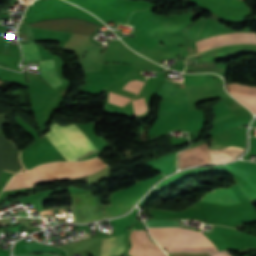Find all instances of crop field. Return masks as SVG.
<instances>
[{"label":"crop field","instance_id":"crop-field-4","mask_svg":"<svg viewBox=\"0 0 256 256\" xmlns=\"http://www.w3.org/2000/svg\"><path fill=\"white\" fill-rule=\"evenodd\" d=\"M210 163L208 157V144L190 148L179 155L180 168H185L193 165Z\"/></svg>","mask_w":256,"mask_h":256},{"label":"crop field","instance_id":"crop-field-17","mask_svg":"<svg viewBox=\"0 0 256 256\" xmlns=\"http://www.w3.org/2000/svg\"><path fill=\"white\" fill-rule=\"evenodd\" d=\"M169 256H210L208 254H190V253H173V254H168Z\"/></svg>","mask_w":256,"mask_h":256},{"label":"crop field","instance_id":"crop-field-15","mask_svg":"<svg viewBox=\"0 0 256 256\" xmlns=\"http://www.w3.org/2000/svg\"><path fill=\"white\" fill-rule=\"evenodd\" d=\"M161 86H174V83L173 81L163 82ZM164 93H175L174 87H161L156 95H164Z\"/></svg>","mask_w":256,"mask_h":256},{"label":"crop field","instance_id":"crop-field-5","mask_svg":"<svg viewBox=\"0 0 256 256\" xmlns=\"http://www.w3.org/2000/svg\"><path fill=\"white\" fill-rule=\"evenodd\" d=\"M227 169L248 181L256 189V164L253 162L237 161L228 166H216L214 170Z\"/></svg>","mask_w":256,"mask_h":256},{"label":"crop field","instance_id":"crop-field-9","mask_svg":"<svg viewBox=\"0 0 256 256\" xmlns=\"http://www.w3.org/2000/svg\"><path fill=\"white\" fill-rule=\"evenodd\" d=\"M211 159L213 163L216 162H223V161H230L235 158L236 156L241 155L243 149L238 147H231L223 150H209Z\"/></svg>","mask_w":256,"mask_h":256},{"label":"crop field","instance_id":"crop-field-12","mask_svg":"<svg viewBox=\"0 0 256 256\" xmlns=\"http://www.w3.org/2000/svg\"><path fill=\"white\" fill-rule=\"evenodd\" d=\"M212 169H213V167L187 170V171L181 172L179 174H175V175L170 176L169 178L165 179L163 182H161L157 186L160 187V188L170 187V186L174 185L175 183L181 181L182 179H184V178H186L190 175L202 173V172L212 170Z\"/></svg>","mask_w":256,"mask_h":256},{"label":"crop field","instance_id":"crop-field-3","mask_svg":"<svg viewBox=\"0 0 256 256\" xmlns=\"http://www.w3.org/2000/svg\"><path fill=\"white\" fill-rule=\"evenodd\" d=\"M29 26L91 35L92 32L97 29L98 24H94L77 18H66L34 22L30 23Z\"/></svg>","mask_w":256,"mask_h":256},{"label":"crop field","instance_id":"crop-field-8","mask_svg":"<svg viewBox=\"0 0 256 256\" xmlns=\"http://www.w3.org/2000/svg\"><path fill=\"white\" fill-rule=\"evenodd\" d=\"M39 65H40L42 77L48 81L49 85L56 87L61 83L56 74L53 59L41 60L39 61Z\"/></svg>","mask_w":256,"mask_h":256},{"label":"crop field","instance_id":"crop-field-13","mask_svg":"<svg viewBox=\"0 0 256 256\" xmlns=\"http://www.w3.org/2000/svg\"><path fill=\"white\" fill-rule=\"evenodd\" d=\"M27 252H57L60 253L57 249L53 248L50 245L40 244L38 242H32L23 245Z\"/></svg>","mask_w":256,"mask_h":256},{"label":"crop field","instance_id":"crop-field-19","mask_svg":"<svg viewBox=\"0 0 256 256\" xmlns=\"http://www.w3.org/2000/svg\"><path fill=\"white\" fill-rule=\"evenodd\" d=\"M188 51H189V54H191V53H192V51H191V47H190V46H188Z\"/></svg>","mask_w":256,"mask_h":256},{"label":"crop field","instance_id":"crop-field-14","mask_svg":"<svg viewBox=\"0 0 256 256\" xmlns=\"http://www.w3.org/2000/svg\"><path fill=\"white\" fill-rule=\"evenodd\" d=\"M232 95L235 96L238 99L256 101V97H253V96H244V95H237V94H232ZM239 101L242 102L246 107L251 109L253 111V113L256 114V102L243 101V100H239Z\"/></svg>","mask_w":256,"mask_h":256},{"label":"crop field","instance_id":"crop-field-2","mask_svg":"<svg viewBox=\"0 0 256 256\" xmlns=\"http://www.w3.org/2000/svg\"><path fill=\"white\" fill-rule=\"evenodd\" d=\"M163 175L138 182L133 186L111 195L114 206L106 207V217H113L127 212L143 196V194Z\"/></svg>","mask_w":256,"mask_h":256},{"label":"crop field","instance_id":"crop-field-21","mask_svg":"<svg viewBox=\"0 0 256 256\" xmlns=\"http://www.w3.org/2000/svg\"><path fill=\"white\" fill-rule=\"evenodd\" d=\"M84 256H87L86 254H83Z\"/></svg>","mask_w":256,"mask_h":256},{"label":"crop field","instance_id":"crop-field-16","mask_svg":"<svg viewBox=\"0 0 256 256\" xmlns=\"http://www.w3.org/2000/svg\"><path fill=\"white\" fill-rule=\"evenodd\" d=\"M188 66H201V67H215V61H196V62H187Z\"/></svg>","mask_w":256,"mask_h":256},{"label":"crop field","instance_id":"crop-field-18","mask_svg":"<svg viewBox=\"0 0 256 256\" xmlns=\"http://www.w3.org/2000/svg\"><path fill=\"white\" fill-rule=\"evenodd\" d=\"M212 256H232L227 250L211 252Z\"/></svg>","mask_w":256,"mask_h":256},{"label":"crop field","instance_id":"crop-field-7","mask_svg":"<svg viewBox=\"0 0 256 256\" xmlns=\"http://www.w3.org/2000/svg\"><path fill=\"white\" fill-rule=\"evenodd\" d=\"M124 234L103 239L100 256H114L123 252Z\"/></svg>","mask_w":256,"mask_h":256},{"label":"crop field","instance_id":"crop-field-22","mask_svg":"<svg viewBox=\"0 0 256 256\" xmlns=\"http://www.w3.org/2000/svg\"><path fill=\"white\" fill-rule=\"evenodd\" d=\"M174 58H176V57H174Z\"/></svg>","mask_w":256,"mask_h":256},{"label":"crop field","instance_id":"crop-field-20","mask_svg":"<svg viewBox=\"0 0 256 256\" xmlns=\"http://www.w3.org/2000/svg\"><path fill=\"white\" fill-rule=\"evenodd\" d=\"M38 256H53V255H38Z\"/></svg>","mask_w":256,"mask_h":256},{"label":"crop field","instance_id":"crop-field-6","mask_svg":"<svg viewBox=\"0 0 256 256\" xmlns=\"http://www.w3.org/2000/svg\"><path fill=\"white\" fill-rule=\"evenodd\" d=\"M198 201H208L217 204H233L239 202L231 187L216 189L204 195Z\"/></svg>","mask_w":256,"mask_h":256},{"label":"crop field","instance_id":"crop-field-11","mask_svg":"<svg viewBox=\"0 0 256 256\" xmlns=\"http://www.w3.org/2000/svg\"><path fill=\"white\" fill-rule=\"evenodd\" d=\"M26 35L29 45L21 46L24 53L25 61L28 62L35 59H41L35 39L33 37L32 30L29 26H27Z\"/></svg>","mask_w":256,"mask_h":256},{"label":"crop field","instance_id":"crop-field-1","mask_svg":"<svg viewBox=\"0 0 256 256\" xmlns=\"http://www.w3.org/2000/svg\"><path fill=\"white\" fill-rule=\"evenodd\" d=\"M50 131L71 152V154L77 160L82 159L98 151L96 147L91 143V141L85 136V134L74 125L62 127L54 124L52 125ZM50 131L46 135V137L64 156V158L67 161L76 160Z\"/></svg>","mask_w":256,"mask_h":256},{"label":"crop field","instance_id":"crop-field-10","mask_svg":"<svg viewBox=\"0 0 256 256\" xmlns=\"http://www.w3.org/2000/svg\"><path fill=\"white\" fill-rule=\"evenodd\" d=\"M148 165L162 171L165 174L175 171L176 153L166 155L157 159L154 162L147 163Z\"/></svg>","mask_w":256,"mask_h":256}]
</instances>
